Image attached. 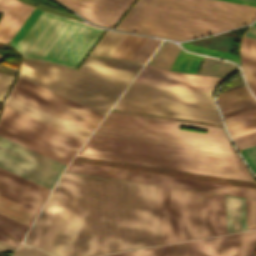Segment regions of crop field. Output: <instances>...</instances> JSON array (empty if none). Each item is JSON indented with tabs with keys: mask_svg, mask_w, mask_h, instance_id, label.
I'll list each match as a JSON object with an SVG mask.
<instances>
[{
	"mask_svg": "<svg viewBox=\"0 0 256 256\" xmlns=\"http://www.w3.org/2000/svg\"><path fill=\"white\" fill-rule=\"evenodd\" d=\"M24 243L59 256L158 245L155 186L64 172Z\"/></svg>",
	"mask_w": 256,
	"mask_h": 256,
	"instance_id": "1",
	"label": "crop field"
},
{
	"mask_svg": "<svg viewBox=\"0 0 256 256\" xmlns=\"http://www.w3.org/2000/svg\"><path fill=\"white\" fill-rule=\"evenodd\" d=\"M256 7L220 0H138L115 29L186 40L249 24Z\"/></svg>",
	"mask_w": 256,
	"mask_h": 256,
	"instance_id": "2",
	"label": "crop field"
},
{
	"mask_svg": "<svg viewBox=\"0 0 256 256\" xmlns=\"http://www.w3.org/2000/svg\"><path fill=\"white\" fill-rule=\"evenodd\" d=\"M142 65L90 56L75 70L23 59L19 77L105 115Z\"/></svg>",
	"mask_w": 256,
	"mask_h": 256,
	"instance_id": "3",
	"label": "crop field"
},
{
	"mask_svg": "<svg viewBox=\"0 0 256 256\" xmlns=\"http://www.w3.org/2000/svg\"><path fill=\"white\" fill-rule=\"evenodd\" d=\"M161 244L227 233L224 196L156 186Z\"/></svg>",
	"mask_w": 256,
	"mask_h": 256,
	"instance_id": "4",
	"label": "crop field"
},
{
	"mask_svg": "<svg viewBox=\"0 0 256 256\" xmlns=\"http://www.w3.org/2000/svg\"><path fill=\"white\" fill-rule=\"evenodd\" d=\"M207 130V134L179 130ZM96 134L234 154L222 128L110 111Z\"/></svg>",
	"mask_w": 256,
	"mask_h": 256,
	"instance_id": "5",
	"label": "crop field"
},
{
	"mask_svg": "<svg viewBox=\"0 0 256 256\" xmlns=\"http://www.w3.org/2000/svg\"><path fill=\"white\" fill-rule=\"evenodd\" d=\"M103 31L43 11L15 49L26 58L76 68Z\"/></svg>",
	"mask_w": 256,
	"mask_h": 256,
	"instance_id": "6",
	"label": "crop field"
},
{
	"mask_svg": "<svg viewBox=\"0 0 256 256\" xmlns=\"http://www.w3.org/2000/svg\"><path fill=\"white\" fill-rule=\"evenodd\" d=\"M116 109L221 124L212 94L132 82Z\"/></svg>",
	"mask_w": 256,
	"mask_h": 256,
	"instance_id": "7",
	"label": "crop field"
},
{
	"mask_svg": "<svg viewBox=\"0 0 256 256\" xmlns=\"http://www.w3.org/2000/svg\"><path fill=\"white\" fill-rule=\"evenodd\" d=\"M0 135L65 165L84 143L7 106L0 115Z\"/></svg>",
	"mask_w": 256,
	"mask_h": 256,
	"instance_id": "8",
	"label": "crop field"
},
{
	"mask_svg": "<svg viewBox=\"0 0 256 256\" xmlns=\"http://www.w3.org/2000/svg\"><path fill=\"white\" fill-rule=\"evenodd\" d=\"M65 171L256 199V189L71 162Z\"/></svg>",
	"mask_w": 256,
	"mask_h": 256,
	"instance_id": "9",
	"label": "crop field"
},
{
	"mask_svg": "<svg viewBox=\"0 0 256 256\" xmlns=\"http://www.w3.org/2000/svg\"><path fill=\"white\" fill-rule=\"evenodd\" d=\"M49 193L0 168V214L30 227Z\"/></svg>",
	"mask_w": 256,
	"mask_h": 256,
	"instance_id": "10",
	"label": "crop field"
},
{
	"mask_svg": "<svg viewBox=\"0 0 256 256\" xmlns=\"http://www.w3.org/2000/svg\"><path fill=\"white\" fill-rule=\"evenodd\" d=\"M0 167L52 190L65 165L0 136Z\"/></svg>",
	"mask_w": 256,
	"mask_h": 256,
	"instance_id": "11",
	"label": "crop field"
},
{
	"mask_svg": "<svg viewBox=\"0 0 256 256\" xmlns=\"http://www.w3.org/2000/svg\"><path fill=\"white\" fill-rule=\"evenodd\" d=\"M80 156L255 182L248 170L83 146Z\"/></svg>",
	"mask_w": 256,
	"mask_h": 256,
	"instance_id": "12",
	"label": "crop field"
},
{
	"mask_svg": "<svg viewBox=\"0 0 256 256\" xmlns=\"http://www.w3.org/2000/svg\"><path fill=\"white\" fill-rule=\"evenodd\" d=\"M10 95L91 131H93L103 117V115L97 112L78 105L20 78L16 82Z\"/></svg>",
	"mask_w": 256,
	"mask_h": 256,
	"instance_id": "13",
	"label": "crop field"
},
{
	"mask_svg": "<svg viewBox=\"0 0 256 256\" xmlns=\"http://www.w3.org/2000/svg\"><path fill=\"white\" fill-rule=\"evenodd\" d=\"M230 136L256 128V101L246 86H240L218 95Z\"/></svg>",
	"mask_w": 256,
	"mask_h": 256,
	"instance_id": "14",
	"label": "crop field"
},
{
	"mask_svg": "<svg viewBox=\"0 0 256 256\" xmlns=\"http://www.w3.org/2000/svg\"><path fill=\"white\" fill-rule=\"evenodd\" d=\"M256 231L192 241L193 256H252Z\"/></svg>",
	"mask_w": 256,
	"mask_h": 256,
	"instance_id": "15",
	"label": "crop field"
},
{
	"mask_svg": "<svg viewBox=\"0 0 256 256\" xmlns=\"http://www.w3.org/2000/svg\"><path fill=\"white\" fill-rule=\"evenodd\" d=\"M222 80L145 65L134 81L213 93Z\"/></svg>",
	"mask_w": 256,
	"mask_h": 256,
	"instance_id": "16",
	"label": "crop field"
},
{
	"mask_svg": "<svg viewBox=\"0 0 256 256\" xmlns=\"http://www.w3.org/2000/svg\"><path fill=\"white\" fill-rule=\"evenodd\" d=\"M87 146L244 168L241 160L90 138Z\"/></svg>",
	"mask_w": 256,
	"mask_h": 256,
	"instance_id": "17",
	"label": "crop field"
},
{
	"mask_svg": "<svg viewBox=\"0 0 256 256\" xmlns=\"http://www.w3.org/2000/svg\"><path fill=\"white\" fill-rule=\"evenodd\" d=\"M87 20L111 28L133 0H58Z\"/></svg>",
	"mask_w": 256,
	"mask_h": 256,
	"instance_id": "18",
	"label": "crop field"
},
{
	"mask_svg": "<svg viewBox=\"0 0 256 256\" xmlns=\"http://www.w3.org/2000/svg\"><path fill=\"white\" fill-rule=\"evenodd\" d=\"M73 161L256 188V183H252V182L232 180V179L219 178V177H212V176L199 175V174L186 173V172H179V171L166 170V169H159V168L146 167V166H139V165L126 164V163L113 162V161H106V160H100V159L86 158V157H80V156H76Z\"/></svg>",
	"mask_w": 256,
	"mask_h": 256,
	"instance_id": "19",
	"label": "crop field"
},
{
	"mask_svg": "<svg viewBox=\"0 0 256 256\" xmlns=\"http://www.w3.org/2000/svg\"><path fill=\"white\" fill-rule=\"evenodd\" d=\"M4 104L42 122H45L53 127H56L64 132L76 136L84 141H86L88 136L91 134V131L85 128L75 125L53 114H50L10 95H8Z\"/></svg>",
	"mask_w": 256,
	"mask_h": 256,
	"instance_id": "20",
	"label": "crop field"
},
{
	"mask_svg": "<svg viewBox=\"0 0 256 256\" xmlns=\"http://www.w3.org/2000/svg\"><path fill=\"white\" fill-rule=\"evenodd\" d=\"M33 9L18 1L4 12L0 20V42L8 43Z\"/></svg>",
	"mask_w": 256,
	"mask_h": 256,
	"instance_id": "21",
	"label": "crop field"
},
{
	"mask_svg": "<svg viewBox=\"0 0 256 256\" xmlns=\"http://www.w3.org/2000/svg\"><path fill=\"white\" fill-rule=\"evenodd\" d=\"M240 60L247 84L256 96V40L242 37Z\"/></svg>",
	"mask_w": 256,
	"mask_h": 256,
	"instance_id": "22",
	"label": "crop field"
},
{
	"mask_svg": "<svg viewBox=\"0 0 256 256\" xmlns=\"http://www.w3.org/2000/svg\"><path fill=\"white\" fill-rule=\"evenodd\" d=\"M228 233L246 230L243 199L225 196Z\"/></svg>",
	"mask_w": 256,
	"mask_h": 256,
	"instance_id": "23",
	"label": "crop field"
},
{
	"mask_svg": "<svg viewBox=\"0 0 256 256\" xmlns=\"http://www.w3.org/2000/svg\"><path fill=\"white\" fill-rule=\"evenodd\" d=\"M126 36V34L107 31L89 55L111 57Z\"/></svg>",
	"mask_w": 256,
	"mask_h": 256,
	"instance_id": "24",
	"label": "crop field"
},
{
	"mask_svg": "<svg viewBox=\"0 0 256 256\" xmlns=\"http://www.w3.org/2000/svg\"><path fill=\"white\" fill-rule=\"evenodd\" d=\"M183 51L181 49L180 53L178 54L176 60L174 61L173 65L171 66L170 70L196 73L203 57L194 55V54H190V53H186Z\"/></svg>",
	"mask_w": 256,
	"mask_h": 256,
	"instance_id": "25",
	"label": "crop field"
},
{
	"mask_svg": "<svg viewBox=\"0 0 256 256\" xmlns=\"http://www.w3.org/2000/svg\"><path fill=\"white\" fill-rule=\"evenodd\" d=\"M145 39V37L129 34L112 57L130 60Z\"/></svg>",
	"mask_w": 256,
	"mask_h": 256,
	"instance_id": "26",
	"label": "crop field"
},
{
	"mask_svg": "<svg viewBox=\"0 0 256 256\" xmlns=\"http://www.w3.org/2000/svg\"><path fill=\"white\" fill-rule=\"evenodd\" d=\"M92 137H94V138H101V139H108V140H114V141H121V142L142 144V145H148V146H155V147H162V148H169V149H176V150H183V151H189V152H196V153H203V154H210V155H217V156H223V157H230V158H237V159H239L238 156H234V155L221 154V153H214V152L201 151V150L188 149V148H181V147L168 146V145L155 144V143L142 142V141H135V140H129V139L116 138V137L102 136V135H96V134H93Z\"/></svg>",
	"mask_w": 256,
	"mask_h": 256,
	"instance_id": "27",
	"label": "crop field"
},
{
	"mask_svg": "<svg viewBox=\"0 0 256 256\" xmlns=\"http://www.w3.org/2000/svg\"><path fill=\"white\" fill-rule=\"evenodd\" d=\"M177 46L172 42H168L152 64L169 69L181 49Z\"/></svg>",
	"mask_w": 256,
	"mask_h": 256,
	"instance_id": "28",
	"label": "crop field"
},
{
	"mask_svg": "<svg viewBox=\"0 0 256 256\" xmlns=\"http://www.w3.org/2000/svg\"><path fill=\"white\" fill-rule=\"evenodd\" d=\"M160 42L161 40L147 38L131 60L146 62Z\"/></svg>",
	"mask_w": 256,
	"mask_h": 256,
	"instance_id": "29",
	"label": "crop field"
},
{
	"mask_svg": "<svg viewBox=\"0 0 256 256\" xmlns=\"http://www.w3.org/2000/svg\"><path fill=\"white\" fill-rule=\"evenodd\" d=\"M42 10L34 9V11L31 13V15L28 17V19L24 22V24L21 26V28L17 31V33L14 35V37L9 42L12 47H16V45L19 43V41L22 39V37L25 35V33L29 30V28L32 26V24L35 22V20L38 18V16L41 14Z\"/></svg>",
	"mask_w": 256,
	"mask_h": 256,
	"instance_id": "30",
	"label": "crop field"
},
{
	"mask_svg": "<svg viewBox=\"0 0 256 256\" xmlns=\"http://www.w3.org/2000/svg\"><path fill=\"white\" fill-rule=\"evenodd\" d=\"M239 150L256 145V130L232 136Z\"/></svg>",
	"mask_w": 256,
	"mask_h": 256,
	"instance_id": "31",
	"label": "crop field"
},
{
	"mask_svg": "<svg viewBox=\"0 0 256 256\" xmlns=\"http://www.w3.org/2000/svg\"><path fill=\"white\" fill-rule=\"evenodd\" d=\"M180 45L183 46L184 48L188 49V50H191V51L200 52V53L209 54V55H214V56L226 58V59L235 61L237 63H240L239 57L236 56V55H232V54H228V53H224V52H219V51H215V50H210V49H206V48H202V47H197V46H193V45H188V44H184V43H180Z\"/></svg>",
	"mask_w": 256,
	"mask_h": 256,
	"instance_id": "32",
	"label": "crop field"
},
{
	"mask_svg": "<svg viewBox=\"0 0 256 256\" xmlns=\"http://www.w3.org/2000/svg\"><path fill=\"white\" fill-rule=\"evenodd\" d=\"M247 230L256 229V201L244 199Z\"/></svg>",
	"mask_w": 256,
	"mask_h": 256,
	"instance_id": "33",
	"label": "crop field"
},
{
	"mask_svg": "<svg viewBox=\"0 0 256 256\" xmlns=\"http://www.w3.org/2000/svg\"><path fill=\"white\" fill-rule=\"evenodd\" d=\"M12 256H54L27 245L21 244Z\"/></svg>",
	"mask_w": 256,
	"mask_h": 256,
	"instance_id": "34",
	"label": "crop field"
},
{
	"mask_svg": "<svg viewBox=\"0 0 256 256\" xmlns=\"http://www.w3.org/2000/svg\"><path fill=\"white\" fill-rule=\"evenodd\" d=\"M14 79V76L0 72V100L7 94Z\"/></svg>",
	"mask_w": 256,
	"mask_h": 256,
	"instance_id": "35",
	"label": "crop field"
},
{
	"mask_svg": "<svg viewBox=\"0 0 256 256\" xmlns=\"http://www.w3.org/2000/svg\"><path fill=\"white\" fill-rule=\"evenodd\" d=\"M173 256H192L191 241L173 244Z\"/></svg>",
	"mask_w": 256,
	"mask_h": 256,
	"instance_id": "36",
	"label": "crop field"
},
{
	"mask_svg": "<svg viewBox=\"0 0 256 256\" xmlns=\"http://www.w3.org/2000/svg\"><path fill=\"white\" fill-rule=\"evenodd\" d=\"M241 152L244 155L247 162L249 163V165L251 166V168L256 173V146L245 150H241Z\"/></svg>",
	"mask_w": 256,
	"mask_h": 256,
	"instance_id": "37",
	"label": "crop field"
},
{
	"mask_svg": "<svg viewBox=\"0 0 256 256\" xmlns=\"http://www.w3.org/2000/svg\"><path fill=\"white\" fill-rule=\"evenodd\" d=\"M143 256H163V246L143 249Z\"/></svg>",
	"mask_w": 256,
	"mask_h": 256,
	"instance_id": "38",
	"label": "crop field"
},
{
	"mask_svg": "<svg viewBox=\"0 0 256 256\" xmlns=\"http://www.w3.org/2000/svg\"><path fill=\"white\" fill-rule=\"evenodd\" d=\"M0 226L5 227V228H7V229H9V230H11L13 232H16V233L22 235V236H24L25 233H26V231H24V230H22L20 228H17V227H15L13 225H10V224H8V223H6L4 221H1V220H0Z\"/></svg>",
	"mask_w": 256,
	"mask_h": 256,
	"instance_id": "39",
	"label": "crop field"
},
{
	"mask_svg": "<svg viewBox=\"0 0 256 256\" xmlns=\"http://www.w3.org/2000/svg\"><path fill=\"white\" fill-rule=\"evenodd\" d=\"M106 256H142V249L123 252V253H117L112 255H106Z\"/></svg>",
	"mask_w": 256,
	"mask_h": 256,
	"instance_id": "40",
	"label": "crop field"
},
{
	"mask_svg": "<svg viewBox=\"0 0 256 256\" xmlns=\"http://www.w3.org/2000/svg\"><path fill=\"white\" fill-rule=\"evenodd\" d=\"M18 0H0V13L7 10L9 7H11L15 2Z\"/></svg>",
	"mask_w": 256,
	"mask_h": 256,
	"instance_id": "41",
	"label": "crop field"
},
{
	"mask_svg": "<svg viewBox=\"0 0 256 256\" xmlns=\"http://www.w3.org/2000/svg\"><path fill=\"white\" fill-rule=\"evenodd\" d=\"M0 233L5 234V235H7L9 237H12V238H14V239H16L18 241H21L22 238H23L22 236H20V235H18L16 233H13V232H11V231H9V230H7L5 228H2V227H0Z\"/></svg>",
	"mask_w": 256,
	"mask_h": 256,
	"instance_id": "42",
	"label": "crop field"
},
{
	"mask_svg": "<svg viewBox=\"0 0 256 256\" xmlns=\"http://www.w3.org/2000/svg\"><path fill=\"white\" fill-rule=\"evenodd\" d=\"M0 219H2V220H4V221H6V222H9V223H11V224H13V225H15V226H17V227H20V228H22V229H24V230H28V227H26V226H24V225H22V224H19V223H17V222H15V221H13V220H10V219H8V218H6V217H4V216H2V215H0Z\"/></svg>",
	"mask_w": 256,
	"mask_h": 256,
	"instance_id": "43",
	"label": "crop field"
},
{
	"mask_svg": "<svg viewBox=\"0 0 256 256\" xmlns=\"http://www.w3.org/2000/svg\"><path fill=\"white\" fill-rule=\"evenodd\" d=\"M0 240L6 242V243H8V244H11V245H13V246H15V247H17V245L19 244L18 242L14 241V240H12V239H9V238H7V237L1 235V234H0Z\"/></svg>",
	"mask_w": 256,
	"mask_h": 256,
	"instance_id": "44",
	"label": "crop field"
},
{
	"mask_svg": "<svg viewBox=\"0 0 256 256\" xmlns=\"http://www.w3.org/2000/svg\"><path fill=\"white\" fill-rule=\"evenodd\" d=\"M245 35L256 38V27L252 26Z\"/></svg>",
	"mask_w": 256,
	"mask_h": 256,
	"instance_id": "45",
	"label": "crop field"
},
{
	"mask_svg": "<svg viewBox=\"0 0 256 256\" xmlns=\"http://www.w3.org/2000/svg\"><path fill=\"white\" fill-rule=\"evenodd\" d=\"M13 249H14V247L0 241V251L1 250H13Z\"/></svg>",
	"mask_w": 256,
	"mask_h": 256,
	"instance_id": "46",
	"label": "crop field"
},
{
	"mask_svg": "<svg viewBox=\"0 0 256 256\" xmlns=\"http://www.w3.org/2000/svg\"><path fill=\"white\" fill-rule=\"evenodd\" d=\"M164 256H172V245L164 247Z\"/></svg>",
	"mask_w": 256,
	"mask_h": 256,
	"instance_id": "47",
	"label": "crop field"
},
{
	"mask_svg": "<svg viewBox=\"0 0 256 256\" xmlns=\"http://www.w3.org/2000/svg\"><path fill=\"white\" fill-rule=\"evenodd\" d=\"M226 1H231V2H236V3H242V4L256 6V4H254V3H249V2H244V1H238V0H226Z\"/></svg>",
	"mask_w": 256,
	"mask_h": 256,
	"instance_id": "48",
	"label": "crop field"
},
{
	"mask_svg": "<svg viewBox=\"0 0 256 256\" xmlns=\"http://www.w3.org/2000/svg\"><path fill=\"white\" fill-rule=\"evenodd\" d=\"M244 1H249V2H254V3H256V0H244Z\"/></svg>",
	"mask_w": 256,
	"mask_h": 256,
	"instance_id": "49",
	"label": "crop field"
},
{
	"mask_svg": "<svg viewBox=\"0 0 256 256\" xmlns=\"http://www.w3.org/2000/svg\"><path fill=\"white\" fill-rule=\"evenodd\" d=\"M253 25L256 26V22Z\"/></svg>",
	"mask_w": 256,
	"mask_h": 256,
	"instance_id": "50",
	"label": "crop field"
},
{
	"mask_svg": "<svg viewBox=\"0 0 256 256\" xmlns=\"http://www.w3.org/2000/svg\"><path fill=\"white\" fill-rule=\"evenodd\" d=\"M3 57L0 56V60L2 59Z\"/></svg>",
	"mask_w": 256,
	"mask_h": 256,
	"instance_id": "51",
	"label": "crop field"
}]
</instances>
